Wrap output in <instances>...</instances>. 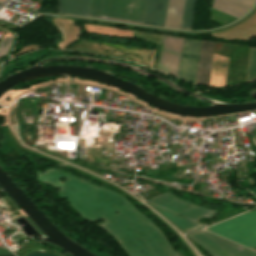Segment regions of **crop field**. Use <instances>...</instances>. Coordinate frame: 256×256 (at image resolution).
<instances>
[{"instance_id":"crop-field-1","label":"crop field","mask_w":256,"mask_h":256,"mask_svg":"<svg viewBox=\"0 0 256 256\" xmlns=\"http://www.w3.org/2000/svg\"><path fill=\"white\" fill-rule=\"evenodd\" d=\"M146 0H91L88 16L142 23Z\"/></svg>"},{"instance_id":"crop-field-2","label":"crop field","mask_w":256,"mask_h":256,"mask_svg":"<svg viewBox=\"0 0 256 256\" xmlns=\"http://www.w3.org/2000/svg\"><path fill=\"white\" fill-rule=\"evenodd\" d=\"M214 42L202 40L196 83L208 86Z\"/></svg>"},{"instance_id":"crop-field-3","label":"crop field","mask_w":256,"mask_h":256,"mask_svg":"<svg viewBox=\"0 0 256 256\" xmlns=\"http://www.w3.org/2000/svg\"><path fill=\"white\" fill-rule=\"evenodd\" d=\"M255 0H215L213 8L235 18L242 16Z\"/></svg>"},{"instance_id":"crop-field-4","label":"crop field","mask_w":256,"mask_h":256,"mask_svg":"<svg viewBox=\"0 0 256 256\" xmlns=\"http://www.w3.org/2000/svg\"><path fill=\"white\" fill-rule=\"evenodd\" d=\"M167 2L168 0H147L143 23L163 26Z\"/></svg>"},{"instance_id":"crop-field-5","label":"crop field","mask_w":256,"mask_h":256,"mask_svg":"<svg viewBox=\"0 0 256 256\" xmlns=\"http://www.w3.org/2000/svg\"><path fill=\"white\" fill-rule=\"evenodd\" d=\"M90 0H58L59 12L87 16Z\"/></svg>"},{"instance_id":"crop-field-6","label":"crop field","mask_w":256,"mask_h":256,"mask_svg":"<svg viewBox=\"0 0 256 256\" xmlns=\"http://www.w3.org/2000/svg\"><path fill=\"white\" fill-rule=\"evenodd\" d=\"M184 0H169L164 26L179 28Z\"/></svg>"},{"instance_id":"crop-field-7","label":"crop field","mask_w":256,"mask_h":256,"mask_svg":"<svg viewBox=\"0 0 256 256\" xmlns=\"http://www.w3.org/2000/svg\"><path fill=\"white\" fill-rule=\"evenodd\" d=\"M133 37L151 41L157 45L154 54L153 68L158 70L162 35L134 31Z\"/></svg>"},{"instance_id":"crop-field-8","label":"crop field","mask_w":256,"mask_h":256,"mask_svg":"<svg viewBox=\"0 0 256 256\" xmlns=\"http://www.w3.org/2000/svg\"><path fill=\"white\" fill-rule=\"evenodd\" d=\"M194 6H195V0H185L180 28L190 29Z\"/></svg>"},{"instance_id":"crop-field-9","label":"crop field","mask_w":256,"mask_h":256,"mask_svg":"<svg viewBox=\"0 0 256 256\" xmlns=\"http://www.w3.org/2000/svg\"><path fill=\"white\" fill-rule=\"evenodd\" d=\"M256 79V48L251 47L247 82Z\"/></svg>"},{"instance_id":"crop-field-10","label":"crop field","mask_w":256,"mask_h":256,"mask_svg":"<svg viewBox=\"0 0 256 256\" xmlns=\"http://www.w3.org/2000/svg\"><path fill=\"white\" fill-rule=\"evenodd\" d=\"M12 39V37H5V39L0 42V56H4L7 54L12 43Z\"/></svg>"},{"instance_id":"crop-field-11","label":"crop field","mask_w":256,"mask_h":256,"mask_svg":"<svg viewBox=\"0 0 256 256\" xmlns=\"http://www.w3.org/2000/svg\"><path fill=\"white\" fill-rule=\"evenodd\" d=\"M0 254H12V253L8 250H0Z\"/></svg>"}]
</instances>
